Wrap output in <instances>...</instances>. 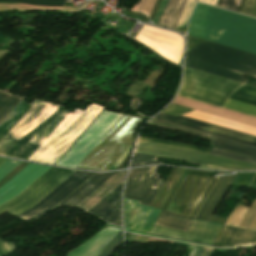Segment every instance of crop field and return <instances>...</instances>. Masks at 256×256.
Returning <instances> with one entry per match:
<instances>
[{"instance_id": "crop-field-17", "label": "crop field", "mask_w": 256, "mask_h": 256, "mask_svg": "<svg viewBox=\"0 0 256 256\" xmlns=\"http://www.w3.org/2000/svg\"><path fill=\"white\" fill-rule=\"evenodd\" d=\"M48 168L50 167L29 163L0 188V204L15 197Z\"/></svg>"}, {"instance_id": "crop-field-8", "label": "crop field", "mask_w": 256, "mask_h": 256, "mask_svg": "<svg viewBox=\"0 0 256 256\" xmlns=\"http://www.w3.org/2000/svg\"><path fill=\"white\" fill-rule=\"evenodd\" d=\"M73 172L51 167L15 198L0 205V215L7 211L16 215L32 207Z\"/></svg>"}, {"instance_id": "crop-field-1", "label": "crop field", "mask_w": 256, "mask_h": 256, "mask_svg": "<svg viewBox=\"0 0 256 256\" xmlns=\"http://www.w3.org/2000/svg\"><path fill=\"white\" fill-rule=\"evenodd\" d=\"M189 36L256 54V19L205 4L196 5Z\"/></svg>"}, {"instance_id": "crop-field-15", "label": "crop field", "mask_w": 256, "mask_h": 256, "mask_svg": "<svg viewBox=\"0 0 256 256\" xmlns=\"http://www.w3.org/2000/svg\"><path fill=\"white\" fill-rule=\"evenodd\" d=\"M155 118L256 146V137L254 136L222 128L205 122L197 121L187 117H174L170 115L164 116L158 114Z\"/></svg>"}, {"instance_id": "crop-field-35", "label": "crop field", "mask_w": 256, "mask_h": 256, "mask_svg": "<svg viewBox=\"0 0 256 256\" xmlns=\"http://www.w3.org/2000/svg\"><path fill=\"white\" fill-rule=\"evenodd\" d=\"M0 1H16L30 4H39L46 6H63L64 0H0Z\"/></svg>"}, {"instance_id": "crop-field-23", "label": "crop field", "mask_w": 256, "mask_h": 256, "mask_svg": "<svg viewBox=\"0 0 256 256\" xmlns=\"http://www.w3.org/2000/svg\"><path fill=\"white\" fill-rule=\"evenodd\" d=\"M124 174L125 171L116 172L76 206H79L88 211L114 188H116L120 183L123 182Z\"/></svg>"}, {"instance_id": "crop-field-38", "label": "crop field", "mask_w": 256, "mask_h": 256, "mask_svg": "<svg viewBox=\"0 0 256 256\" xmlns=\"http://www.w3.org/2000/svg\"><path fill=\"white\" fill-rule=\"evenodd\" d=\"M191 110H193V109H189V108L182 107V106H179V105L171 104L170 106H168L162 112L170 114V115H174V116H179V115H182V114H184L186 112H189Z\"/></svg>"}, {"instance_id": "crop-field-42", "label": "crop field", "mask_w": 256, "mask_h": 256, "mask_svg": "<svg viewBox=\"0 0 256 256\" xmlns=\"http://www.w3.org/2000/svg\"><path fill=\"white\" fill-rule=\"evenodd\" d=\"M131 145H132V144H131ZM131 145H130V147L121 155V157L112 165V167H111L109 170L115 169V168L121 163V161L129 154ZM109 170H108V171H109Z\"/></svg>"}, {"instance_id": "crop-field-7", "label": "crop field", "mask_w": 256, "mask_h": 256, "mask_svg": "<svg viewBox=\"0 0 256 256\" xmlns=\"http://www.w3.org/2000/svg\"><path fill=\"white\" fill-rule=\"evenodd\" d=\"M240 83L185 68L178 96L222 107Z\"/></svg>"}, {"instance_id": "crop-field-20", "label": "crop field", "mask_w": 256, "mask_h": 256, "mask_svg": "<svg viewBox=\"0 0 256 256\" xmlns=\"http://www.w3.org/2000/svg\"><path fill=\"white\" fill-rule=\"evenodd\" d=\"M106 229L100 231L93 238L82 246L66 254L67 256H97L109 241L120 230V227H114L110 224Z\"/></svg>"}, {"instance_id": "crop-field-5", "label": "crop field", "mask_w": 256, "mask_h": 256, "mask_svg": "<svg viewBox=\"0 0 256 256\" xmlns=\"http://www.w3.org/2000/svg\"><path fill=\"white\" fill-rule=\"evenodd\" d=\"M142 121L122 115L77 168L107 171L133 142L134 131Z\"/></svg>"}, {"instance_id": "crop-field-28", "label": "crop field", "mask_w": 256, "mask_h": 256, "mask_svg": "<svg viewBox=\"0 0 256 256\" xmlns=\"http://www.w3.org/2000/svg\"><path fill=\"white\" fill-rule=\"evenodd\" d=\"M187 0H169L158 24L174 28Z\"/></svg>"}, {"instance_id": "crop-field-31", "label": "crop field", "mask_w": 256, "mask_h": 256, "mask_svg": "<svg viewBox=\"0 0 256 256\" xmlns=\"http://www.w3.org/2000/svg\"><path fill=\"white\" fill-rule=\"evenodd\" d=\"M138 140L139 141H145V142H151V143H157V144H163V145L186 148V149H190V150H194V151H198V152H202V153H206V154H208L210 152L209 151L210 149L205 150V149H201V148H197V147H193V146H189V145L171 143V142H166V141H160V140H154V139H148V138H142V137H139Z\"/></svg>"}, {"instance_id": "crop-field-39", "label": "crop field", "mask_w": 256, "mask_h": 256, "mask_svg": "<svg viewBox=\"0 0 256 256\" xmlns=\"http://www.w3.org/2000/svg\"><path fill=\"white\" fill-rule=\"evenodd\" d=\"M20 161L7 159L0 165V179L5 176L8 172H10L13 168H15Z\"/></svg>"}, {"instance_id": "crop-field-30", "label": "crop field", "mask_w": 256, "mask_h": 256, "mask_svg": "<svg viewBox=\"0 0 256 256\" xmlns=\"http://www.w3.org/2000/svg\"><path fill=\"white\" fill-rule=\"evenodd\" d=\"M157 157L142 155V154H133L130 167L139 166L144 164H164L156 160Z\"/></svg>"}, {"instance_id": "crop-field-19", "label": "crop field", "mask_w": 256, "mask_h": 256, "mask_svg": "<svg viewBox=\"0 0 256 256\" xmlns=\"http://www.w3.org/2000/svg\"><path fill=\"white\" fill-rule=\"evenodd\" d=\"M237 174L227 177H219L218 181L216 182L215 186L210 192L208 198L206 199L205 203L203 204L202 208L197 214L196 219L209 222L216 207L218 206L219 202L221 201L229 187L232 185Z\"/></svg>"}, {"instance_id": "crop-field-44", "label": "crop field", "mask_w": 256, "mask_h": 256, "mask_svg": "<svg viewBox=\"0 0 256 256\" xmlns=\"http://www.w3.org/2000/svg\"><path fill=\"white\" fill-rule=\"evenodd\" d=\"M6 159L0 158V164L5 161Z\"/></svg>"}, {"instance_id": "crop-field-37", "label": "crop field", "mask_w": 256, "mask_h": 256, "mask_svg": "<svg viewBox=\"0 0 256 256\" xmlns=\"http://www.w3.org/2000/svg\"><path fill=\"white\" fill-rule=\"evenodd\" d=\"M239 12L256 17V0H244Z\"/></svg>"}, {"instance_id": "crop-field-32", "label": "crop field", "mask_w": 256, "mask_h": 256, "mask_svg": "<svg viewBox=\"0 0 256 256\" xmlns=\"http://www.w3.org/2000/svg\"><path fill=\"white\" fill-rule=\"evenodd\" d=\"M209 154L219 156V157H224V158H229V159H234V160H238V161H243V162L256 164V160L249 159V158H246V157H242V156H239V155H235V154L225 152V151H222V150H218V149H215V148H213L212 151Z\"/></svg>"}, {"instance_id": "crop-field-34", "label": "crop field", "mask_w": 256, "mask_h": 256, "mask_svg": "<svg viewBox=\"0 0 256 256\" xmlns=\"http://www.w3.org/2000/svg\"><path fill=\"white\" fill-rule=\"evenodd\" d=\"M195 2H196V0H188L187 1L176 27L184 26L186 24Z\"/></svg>"}, {"instance_id": "crop-field-43", "label": "crop field", "mask_w": 256, "mask_h": 256, "mask_svg": "<svg viewBox=\"0 0 256 256\" xmlns=\"http://www.w3.org/2000/svg\"><path fill=\"white\" fill-rule=\"evenodd\" d=\"M211 251H212L211 248L202 247L201 251L197 256H209Z\"/></svg>"}, {"instance_id": "crop-field-40", "label": "crop field", "mask_w": 256, "mask_h": 256, "mask_svg": "<svg viewBox=\"0 0 256 256\" xmlns=\"http://www.w3.org/2000/svg\"><path fill=\"white\" fill-rule=\"evenodd\" d=\"M15 251L11 244L0 239V256H5Z\"/></svg>"}, {"instance_id": "crop-field-14", "label": "crop field", "mask_w": 256, "mask_h": 256, "mask_svg": "<svg viewBox=\"0 0 256 256\" xmlns=\"http://www.w3.org/2000/svg\"><path fill=\"white\" fill-rule=\"evenodd\" d=\"M160 210L138 204V201L124 198L125 230L147 235Z\"/></svg>"}, {"instance_id": "crop-field-22", "label": "crop field", "mask_w": 256, "mask_h": 256, "mask_svg": "<svg viewBox=\"0 0 256 256\" xmlns=\"http://www.w3.org/2000/svg\"><path fill=\"white\" fill-rule=\"evenodd\" d=\"M230 99L256 105V88L244 85L237 89ZM230 99L224 104V108L256 116V106Z\"/></svg>"}, {"instance_id": "crop-field-11", "label": "crop field", "mask_w": 256, "mask_h": 256, "mask_svg": "<svg viewBox=\"0 0 256 256\" xmlns=\"http://www.w3.org/2000/svg\"><path fill=\"white\" fill-rule=\"evenodd\" d=\"M136 40L146 44L167 60L179 64L184 45L180 35L144 25Z\"/></svg>"}, {"instance_id": "crop-field-18", "label": "crop field", "mask_w": 256, "mask_h": 256, "mask_svg": "<svg viewBox=\"0 0 256 256\" xmlns=\"http://www.w3.org/2000/svg\"><path fill=\"white\" fill-rule=\"evenodd\" d=\"M256 244V232L223 226L213 246L219 248L243 247Z\"/></svg>"}, {"instance_id": "crop-field-3", "label": "crop field", "mask_w": 256, "mask_h": 256, "mask_svg": "<svg viewBox=\"0 0 256 256\" xmlns=\"http://www.w3.org/2000/svg\"><path fill=\"white\" fill-rule=\"evenodd\" d=\"M186 67L246 84L242 75L256 77V55L205 41L187 52Z\"/></svg>"}, {"instance_id": "crop-field-25", "label": "crop field", "mask_w": 256, "mask_h": 256, "mask_svg": "<svg viewBox=\"0 0 256 256\" xmlns=\"http://www.w3.org/2000/svg\"><path fill=\"white\" fill-rule=\"evenodd\" d=\"M113 173L96 174L58 206H75Z\"/></svg>"}, {"instance_id": "crop-field-4", "label": "crop field", "mask_w": 256, "mask_h": 256, "mask_svg": "<svg viewBox=\"0 0 256 256\" xmlns=\"http://www.w3.org/2000/svg\"><path fill=\"white\" fill-rule=\"evenodd\" d=\"M103 106L91 103L85 112L75 109L58 125L41 146L27 159L53 164L102 111Z\"/></svg>"}, {"instance_id": "crop-field-2", "label": "crop field", "mask_w": 256, "mask_h": 256, "mask_svg": "<svg viewBox=\"0 0 256 256\" xmlns=\"http://www.w3.org/2000/svg\"><path fill=\"white\" fill-rule=\"evenodd\" d=\"M70 111L36 100L0 140V155L26 160Z\"/></svg>"}, {"instance_id": "crop-field-13", "label": "crop field", "mask_w": 256, "mask_h": 256, "mask_svg": "<svg viewBox=\"0 0 256 256\" xmlns=\"http://www.w3.org/2000/svg\"><path fill=\"white\" fill-rule=\"evenodd\" d=\"M92 175L94 174L75 171L31 209L17 216L25 220L32 216L36 218L41 216L42 214L55 207L59 202L66 198L86 180H88Z\"/></svg>"}, {"instance_id": "crop-field-9", "label": "crop field", "mask_w": 256, "mask_h": 256, "mask_svg": "<svg viewBox=\"0 0 256 256\" xmlns=\"http://www.w3.org/2000/svg\"><path fill=\"white\" fill-rule=\"evenodd\" d=\"M217 179L186 176L166 211L195 218Z\"/></svg>"}, {"instance_id": "crop-field-6", "label": "crop field", "mask_w": 256, "mask_h": 256, "mask_svg": "<svg viewBox=\"0 0 256 256\" xmlns=\"http://www.w3.org/2000/svg\"><path fill=\"white\" fill-rule=\"evenodd\" d=\"M193 219L162 211L156 225L187 231ZM154 225L150 236L211 246L221 226L194 219L187 232Z\"/></svg>"}, {"instance_id": "crop-field-26", "label": "crop field", "mask_w": 256, "mask_h": 256, "mask_svg": "<svg viewBox=\"0 0 256 256\" xmlns=\"http://www.w3.org/2000/svg\"><path fill=\"white\" fill-rule=\"evenodd\" d=\"M183 116H187V117H190V118H194V119H197V120L205 121V122H208V123H212V124H215V125H219V126H222V127H226V128H229V129L237 130V131H240V132H244V133L256 136V128L246 126V125H243V124H239V123H235V122H232V121H228V120H225V119H221V118H218V117H214V116H211V115H207V114H203V113H200V112L193 111V112L185 114Z\"/></svg>"}, {"instance_id": "crop-field-21", "label": "crop field", "mask_w": 256, "mask_h": 256, "mask_svg": "<svg viewBox=\"0 0 256 256\" xmlns=\"http://www.w3.org/2000/svg\"><path fill=\"white\" fill-rule=\"evenodd\" d=\"M122 184L89 210V212L101 217L111 224L116 225L119 223L120 192Z\"/></svg>"}, {"instance_id": "crop-field-36", "label": "crop field", "mask_w": 256, "mask_h": 256, "mask_svg": "<svg viewBox=\"0 0 256 256\" xmlns=\"http://www.w3.org/2000/svg\"><path fill=\"white\" fill-rule=\"evenodd\" d=\"M243 0H219L217 3V7L239 11Z\"/></svg>"}, {"instance_id": "crop-field-24", "label": "crop field", "mask_w": 256, "mask_h": 256, "mask_svg": "<svg viewBox=\"0 0 256 256\" xmlns=\"http://www.w3.org/2000/svg\"><path fill=\"white\" fill-rule=\"evenodd\" d=\"M225 225L256 231V199L250 208L238 204Z\"/></svg>"}, {"instance_id": "crop-field-27", "label": "crop field", "mask_w": 256, "mask_h": 256, "mask_svg": "<svg viewBox=\"0 0 256 256\" xmlns=\"http://www.w3.org/2000/svg\"><path fill=\"white\" fill-rule=\"evenodd\" d=\"M184 171L185 169H180V168L173 169L171 175L164 183L162 189L160 190L159 194L157 195L151 207L162 210L164 204L166 203L167 199L169 198L171 192L173 191L174 187L176 186L178 180L180 179Z\"/></svg>"}, {"instance_id": "crop-field-12", "label": "crop field", "mask_w": 256, "mask_h": 256, "mask_svg": "<svg viewBox=\"0 0 256 256\" xmlns=\"http://www.w3.org/2000/svg\"><path fill=\"white\" fill-rule=\"evenodd\" d=\"M158 167L130 170L125 187L124 197L140 201V204L150 206L162 182L157 181L155 174Z\"/></svg>"}, {"instance_id": "crop-field-10", "label": "crop field", "mask_w": 256, "mask_h": 256, "mask_svg": "<svg viewBox=\"0 0 256 256\" xmlns=\"http://www.w3.org/2000/svg\"><path fill=\"white\" fill-rule=\"evenodd\" d=\"M135 152L174 158L224 170H256V165L205 155L185 149L137 141Z\"/></svg>"}, {"instance_id": "crop-field-41", "label": "crop field", "mask_w": 256, "mask_h": 256, "mask_svg": "<svg viewBox=\"0 0 256 256\" xmlns=\"http://www.w3.org/2000/svg\"><path fill=\"white\" fill-rule=\"evenodd\" d=\"M167 1L168 0H162L161 5H160V7H159V9L157 11V14H156V16H155V18L153 20L154 24L158 23V21H159V19L161 17V14H162V12H163V10L165 8V5H166Z\"/></svg>"}, {"instance_id": "crop-field-16", "label": "crop field", "mask_w": 256, "mask_h": 256, "mask_svg": "<svg viewBox=\"0 0 256 256\" xmlns=\"http://www.w3.org/2000/svg\"><path fill=\"white\" fill-rule=\"evenodd\" d=\"M149 124H153V125L168 128V129H171V130H175V131H179V132H183V133H187V134L207 138V139H210L212 145L215 146L216 148L256 159V148L252 147V146H248V145L241 144V143H238V142L230 141V140H227V139H223V138H220V137L205 134V133H202V132L187 129V128H184V127H180V126H177V125H173V124L162 122V121L155 120V119L150 121Z\"/></svg>"}, {"instance_id": "crop-field-33", "label": "crop field", "mask_w": 256, "mask_h": 256, "mask_svg": "<svg viewBox=\"0 0 256 256\" xmlns=\"http://www.w3.org/2000/svg\"><path fill=\"white\" fill-rule=\"evenodd\" d=\"M121 243V231H119L108 246L98 256H110Z\"/></svg>"}, {"instance_id": "crop-field-29", "label": "crop field", "mask_w": 256, "mask_h": 256, "mask_svg": "<svg viewBox=\"0 0 256 256\" xmlns=\"http://www.w3.org/2000/svg\"><path fill=\"white\" fill-rule=\"evenodd\" d=\"M22 97L12 96L0 92V122L8 115V113L18 104Z\"/></svg>"}]
</instances>
